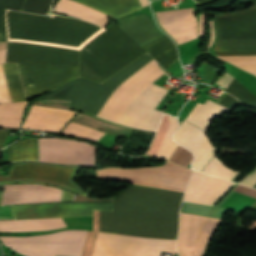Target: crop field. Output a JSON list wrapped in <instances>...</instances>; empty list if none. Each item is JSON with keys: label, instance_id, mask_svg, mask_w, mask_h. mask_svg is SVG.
Masks as SVG:
<instances>
[{"label": "crop field", "instance_id": "crop-field-35", "mask_svg": "<svg viewBox=\"0 0 256 256\" xmlns=\"http://www.w3.org/2000/svg\"><path fill=\"white\" fill-rule=\"evenodd\" d=\"M8 133H9V131H2V130H0V148L3 147L5 139H6L7 135H8Z\"/></svg>", "mask_w": 256, "mask_h": 256}, {"label": "crop field", "instance_id": "crop-field-21", "mask_svg": "<svg viewBox=\"0 0 256 256\" xmlns=\"http://www.w3.org/2000/svg\"><path fill=\"white\" fill-rule=\"evenodd\" d=\"M64 226L62 218L0 221V231H39Z\"/></svg>", "mask_w": 256, "mask_h": 256}, {"label": "crop field", "instance_id": "crop-field-1", "mask_svg": "<svg viewBox=\"0 0 256 256\" xmlns=\"http://www.w3.org/2000/svg\"><path fill=\"white\" fill-rule=\"evenodd\" d=\"M182 193L132 185L114 199V211L178 217ZM100 211V231L176 239L178 218ZM100 232L93 256H160L176 240Z\"/></svg>", "mask_w": 256, "mask_h": 256}, {"label": "crop field", "instance_id": "crop-field-14", "mask_svg": "<svg viewBox=\"0 0 256 256\" xmlns=\"http://www.w3.org/2000/svg\"><path fill=\"white\" fill-rule=\"evenodd\" d=\"M155 13L159 24L178 45L197 38V22L192 8Z\"/></svg>", "mask_w": 256, "mask_h": 256}, {"label": "crop field", "instance_id": "crop-field-28", "mask_svg": "<svg viewBox=\"0 0 256 256\" xmlns=\"http://www.w3.org/2000/svg\"><path fill=\"white\" fill-rule=\"evenodd\" d=\"M63 132L88 138L95 141H97L100 137H102L105 134L101 131H97V130L87 128L81 125L73 124V123H70Z\"/></svg>", "mask_w": 256, "mask_h": 256}, {"label": "crop field", "instance_id": "crop-field-2", "mask_svg": "<svg viewBox=\"0 0 256 256\" xmlns=\"http://www.w3.org/2000/svg\"><path fill=\"white\" fill-rule=\"evenodd\" d=\"M150 59L152 58L146 54L102 85L83 78L73 80L41 100L72 101L71 108L96 115L113 89ZM157 65L152 59L120 83L108 97L97 116L117 123L133 98L164 73ZM166 92L167 89L151 83L129 104L118 124L156 131L163 112L154 109Z\"/></svg>", "mask_w": 256, "mask_h": 256}, {"label": "crop field", "instance_id": "crop-field-9", "mask_svg": "<svg viewBox=\"0 0 256 256\" xmlns=\"http://www.w3.org/2000/svg\"><path fill=\"white\" fill-rule=\"evenodd\" d=\"M191 169L168 161L162 167L144 169L109 168L97 171L99 178L123 180L137 185L185 191Z\"/></svg>", "mask_w": 256, "mask_h": 256}, {"label": "crop field", "instance_id": "crop-field-33", "mask_svg": "<svg viewBox=\"0 0 256 256\" xmlns=\"http://www.w3.org/2000/svg\"><path fill=\"white\" fill-rule=\"evenodd\" d=\"M255 178H256V169L239 183L248 186ZM249 186L256 187V179Z\"/></svg>", "mask_w": 256, "mask_h": 256}, {"label": "crop field", "instance_id": "crop-field-32", "mask_svg": "<svg viewBox=\"0 0 256 256\" xmlns=\"http://www.w3.org/2000/svg\"><path fill=\"white\" fill-rule=\"evenodd\" d=\"M234 191L256 198V189H253V188H249V187L238 184L234 189Z\"/></svg>", "mask_w": 256, "mask_h": 256}, {"label": "crop field", "instance_id": "crop-field-10", "mask_svg": "<svg viewBox=\"0 0 256 256\" xmlns=\"http://www.w3.org/2000/svg\"><path fill=\"white\" fill-rule=\"evenodd\" d=\"M79 52L52 46L9 43L7 62L78 67Z\"/></svg>", "mask_w": 256, "mask_h": 256}, {"label": "crop field", "instance_id": "crop-field-16", "mask_svg": "<svg viewBox=\"0 0 256 256\" xmlns=\"http://www.w3.org/2000/svg\"><path fill=\"white\" fill-rule=\"evenodd\" d=\"M61 190L35 184L5 185L2 204L60 201Z\"/></svg>", "mask_w": 256, "mask_h": 256}, {"label": "crop field", "instance_id": "crop-field-26", "mask_svg": "<svg viewBox=\"0 0 256 256\" xmlns=\"http://www.w3.org/2000/svg\"><path fill=\"white\" fill-rule=\"evenodd\" d=\"M54 1L55 0H26L22 11L51 16Z\"/></svg>", "mask_w": 256, "mask_h": 256}, {"label": "crop field", "instance_id": "crop-field-31", "mask_svg": "<svg viewBox=\"0 0 256 256\" xmlns=\"http://www.w3.org/2000/svg\"><path fill=\"white\" fill-rule=\"evenodd\" d=\"M24 0H0V8L21 10Z\"/></svg>", "mask_w": 256, "mask_h": 256}, {"label": "crop field", "instance_id": "crop-field-42", "mask_svg": "<svg viewBox=\"0 0 256 256\" xmlns=\"http://www.w3.org/2000/svg\"><path fill=\"white\" fill-rule=\"evenodd\" d=\"M183 205H184V204H183ZM183 205H182L181 211H182V209H183Z\"/></svg>", "mask_w": 256, "mask_h": 256}, {"label": "crop field", "instance_id": "crop-field-37", "mask_svg": "<svg viewBox=\"0 0 256 256\" xmlns=\"http://www.w3.org/2000/svg\"><path fill=\"white\" fill-rule=\"evenodd\" d=\"M6 49L0 51V63L5 62Z\"/></svg>", "mask_w": 256, "mask_h": 256}, {"label": "crop field", "instance_id": "crop-field-15", "mask_svg": "<svg viewBox=\"0 0 256 256\" xmlns=\"http://www.w3.org/2000/svg\"><path fill=\"white\" fill-rule=\"evenodd\" d=\"M174 139L194 152L195 159L192 166L199 171L218 151L207 140L204 131L184 121L174 135Z\"/></svg>", "mask_w": 256, "mask_h": 256}, {"label": "crop field", "instance_id": "crop-field-6", "mask_svg": "<svg viewBox=\"0 0 256 256\" xmlns=\"http://www.w3.org/2000/svg\"><path fill=\"white\" fill-rule=\"evenodd\" d=\"M11 101L27 100L16 64L2 65ZM0 65V103L11 102ZM27 98L37 96L77 78L78 68L18 64ZM34 85L31 87L30 85Z\"/></svg>", "mask_w": 256, "mask_h": 256}, {"label": "crop field", "instance_id": "crop-field-34", "mask_svg": "<svg viewBox=\"0 0 256 256\" xmlns=\"http://www.w3.org/2000/svg\"><path fill=\"white\" fill-rule=\"evenodd\" d=\"M234 77L230 76L229 74H225L221 79H219L216 83L224 86L227 88V86L230 84V82L233 80Z\"/></svg>", "mask_w": 256, "mask_h": 256}, {"label": "crop field", "instance_id": "crop-field-41", "mask_svg": "<svg viewBox=\"0 0 256 256\" xmlns=\"http://www.w3.org/2000/svg\"><path fill=\"white\" fill-rule=\"evenodd\" d=\"M252 208L256 209V204L252 206Z\"/></svg>", "mask_w": 256, "mask_h": 256}, {"label": "crop field", "instance_id": "crop-field-39", "mask_svg": "<svg viewBox=\"0 0 256 256\" xmlns=\"http://www.w3.org/2000/svg\"><path fill=\"white\" fill-rule=\"evenodd\" d=\"M195 1H197L199 4H203V3H208L213 0H195Z\"/></svg>", "mask_w": 256, "mask_h": 256}, {"label": "crop field", "instance_id": "crop-field-12", "mask_svg": "<svg viewBox=\"0 0 256 256\" xmlns=\"http://www.w3.org/2000/svg\"><path fill=\"white\" fill-rule=\"evenodd\" d=\"M219 221V218L181 213L178 238L180 256H202Z\"/></svg>", "mask_w": 256, "mask_h": 256}, {"label": "crop field", "instance_id": "crop-field-11", "mask_svg": "<svg viewBox=\"0 0 256 256\" xmlns=\"http://www.w3.org/2000/svg\"><path fill=\"white\" fill-rule=\"evenodd\" d=\"M39 161L94 165L96 147L81 141L38 138Z\"/></svg>", "mask_w": 256, "mask_h": 256}, {"label": "crop field", "instance_id": "crop-field-17", "mask_svg": "<svg viewBox=\"0 0 256 256\" xmlns=\"http://www.w3.org/2000/svg\"><path fill=\"white\" fill-rule=\"evenodd\" d=\"M30 111L69 117V118H72L76 113V111H72V110L36 106V105H32ZM68 120H69L68 118L30 112L22 128L44 130L49 132H58Z\"/></svg>", "mask_w": 256, "mask_h": 256}, {"label": "crop field", "instance_id": "crop-field-25", "mask_svg": "<svg viewBox=\"0 0 256 256\" xmlns=\"http://www.w3.org/2000/svg\"><path fill=\"white\" fill-rule=\"evenodd\" d=\"M8 162L17 160L37 161L36 138H26L7 148Z\"/></svg>", "mask_w": 256, "mask_h": 256}, {"label": "crop field", "instance_id": "crop-field-24", "mask_svg": "<svg viewBox=\"0 0 256 256\" xmlns=\"http://www.w3.org/2000/svg\"><path fill=\"white\" fill-rule=\"evenodd\" d=\"M27 101L0 104V128H19Z\"/></svg>", "mask_w": 256, "mask_h": 256}, {"label": "crop field", "instance_id": "crop-field-29", "mask_svg": "<svg viewBox=\"0 0 256 256\" xmlns=\"http://www.w3.org/2000/svg\"><path fill=\"white\" fill-rule=\"evenodd\" d=\"M222 59H256V56H219ZM256 75V60H226Z\"/></svg>", "mask_w": 256, "mask_h": 256}, {"label": "crop field", "instance_id": "crop-field-8", "mask_svg": "<svg viewBox=\"0 0 256 256\" xmlns=\"http://www.w3.org/2000/svg\"><path fill=\"white\" fill-rule=\"evenodd\" d=\"M214 51L256 50V6L215 17Z\"/></svg>", "mask_w": 256, "mask_h": 256}, {"label": "crop field", "instance_id": "crop-field-19", "mask_svg": "<svg viewBox=\"0 0 256 256\" xmlns=\"http://www.w3.org/2000/svg\"><path fill=\"white\" fill-rule=\"evenodd\" d=\"M178 126L176 118L164 114L157 136L148 152V155L169 160L177 147V143L172 140V133Z\"/></svg>", "mask_w": 256, "mask_h": 256}, {"label": "crop field", "instance_id": "crop-field-38", "mask_svg": "<svg viewBox=\"0 0 256 256\" xmlns=\"http://www.w3.org/2000/svg\"><path fill=\"white\" fill-rule=\"evenodd\" d=\"M210 28H211V39H210L209 46H211V44H212L213 35H214V31H213V27H212V22H211V21H210ZM209 46H208V47H209Z\"/></svg>", "mask_w": 256, "mask_h": 256}, {"label": "crop field", "instance_id": "crop-field-3", "mask_svg": "<svg viewBox=\"0 0 256 256\" xmlns=\"http://www.w3.org/2000/svg\"><path fill=\"white\" fill-rule=\"evenodd\" d=\"M80 167L41 162L13 164L0 183L46 182L85 193L71 179ZM16 219L93 215V209L113 211V201L55 202L11 205ZM10 205H0V219L14 218Z\"/></svg>", "mask_w": 256, "mask_h": 256}, {"label": "crop field", "instance_id": "crop-field-4", "mask_svg": "<svg viewBox=\"0 0 256 256\" xmlns=\"http://www.w3.org/2000/svg\"><path fill=\"white\" fill-rule=\"evenodd\" d=\"M9 41L52 45L80 50L104 28L84 20L4 10ZM7 41L0 9V42Z\"/></svg>", "mask_w": 256, "mask_h": 256}, {"label": "crop field", "instance_id": "crop-field-27", "mask_svg": "<svg viewBox=\"0 0 256 256\" xmlns=\"http://www.w3.org/2000/svg\"><path fill=\"white\" fill-rule=\"evenodd\" d=\"M211 161V160H210ZM203 172L219 176L222 178L232 180L238 171L227 168L223 163H221L217 158H213L212 161L205 167Z\"/></svg>", "mask_w": 256, "mask_h": 256}, {"label": "crop field", "instance_id": "crop-field-18", "mask_svg": "<svg viewBox=\"0 0 256 256\" xmlns=\"http://www.w3.org/2000/svg\"><path fill=\"white\" fill-rule=\"evenodd\" d=\"M118 25L141 47L164 36L154 26L146 14L117 19Z\"/></svg>", "mask_w": 256, "mask_h": 256}, {"label": "crop field", "instance_id": "crop-field-23", "mask_svg": "<svg viewBox=\"0 0 256 256\" xmlns=\"http://www.w3.org/2000/svg\"><path fill=\"white\" fill-rule=\"evenodd\" d=\"M228 109L219 106L211 101H207L204 105L197 103L186 120L196 124L203 130L207 131V128L211 121L221 113Z\"/></svg>", "mask_w": 256, "mask_h": 256}, {"label": "crop field", "instance_id": "crop-field-13", "mask_svg": "<svg viewBox=\"0 0 256 256\" xmlns=\"http://www.w3.org/2000/svg\"><path fill=\"white\" fill-rule=\"evenodd\" d=\"M233 185L225 179L194 170L183 201L213 205Z\"/></svg>", "mask_w": 256, "mask_h": 256}, {"label": "crop field", "instance_id": "crop-field-22", "mask_svg": "<svg viewBox=\"0 0 256 256\" xmlns=\"http://www.w3.org/2000/svg\"><path fill=\"white\" fill-rule=\"evenodd\" d=\"M77 2L115 17H121L141 7L138 0H79Z\"/></svg>", "mask_w": 256, "mask_h": 256}, {"label": "crop field", "instance_id": "crop-field-5", "mask_svg": "<svg viewBox=\"0 0 256 256\" xmlns=\"http://www.w3.org/2000/svg\"><path fill=\"white\" fill-rule=\"evenodd\" d=\"M145 53L113 22L81 51L79 75L101 83Z\"/></svg>", "mask_w": 256, "mask_h": 256}, {"label": "crop field", "instance_id": "crop-field-36", "mask_svg": "<svg viewBox=\"0 0 256 256\" xmlns=\"http://www.w3.org/2000/svg\"><path fill=\"white\" fill-rule=\"evenodd\" d=\"M203 30H204V14H201L200 15V21H199L198 35H203Z\"/></svg>", "mask_w": 256, "mask_h": 256}, {"label": "crop field", "instance_id": "crop-field-40", "mask_svg": "<svg viewBox=\"0 0 256 256\" xmlns=\"http://www.w3.org/2000/svg\"><path fill=\"white\" fill-rule=\"evenodd\" d=\"M142 7L148 5V0H140Z\"/></svg>", "mask_w": 256, "mask_h": 256}, {"label": "crop field", "instance_id": "crop-field-30", "mask_svg": "<svg viewBox=\"0 0 256 256\" xmlns=\"http://www.w3.org/2000/svg\"><path fill=\"white\" fill-rule=\"evenodd\" d=\"M192 158L193 154L190 151L178 145L170 161L187 167Z\"/></svg>", "mask_w": 256, "mask_h": 256}, {"label": "crop field", "instance_id": "crop-field-7", "mask_svg": "<svg viewBox=\"0 0 256 256\" xmlns=\"http://www.w3.org/2000/svg\"><path fill=\"white\" fill-rule=\"evenodd\" d=\"M85 230L60 231L31 237H0L3 243L29 256H81Z\"/></svg>", "mask_w": 256, "mask_h": 256}, {"label": "crop field", "instance_id": "crop-field-20", "mask_svg": "<svg viewBox=\"0 0 256 256\" xmlns=\"http://www.w3.org/2000/svg\"><path fill=\"white\" fill-rule=\"evenodd\" d=\"M54 11L91 21L102 27H105L108 22L107 15L70 0H59Z\"/></svg>", "mask_w": 256, "mask_h": 256}]
</instances>
